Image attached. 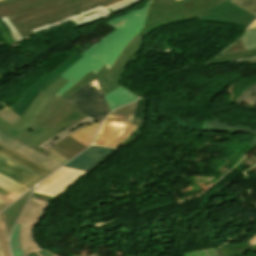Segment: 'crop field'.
Returning a JSON list of instances; mask_svg holds the SVG:
<instances>
[{
  "label": "crop field",
  "mask_w": 256,
  "mask_h": 256,
  "mask_svg": "<svg viewBox=\"0 0 256 256\" xmlns=\"http://www.w3.org/2000/svg\"><path fill=\"white\" fill-rule=\"evenodd\" d=\"M220 1H223V0H196L191 3L186 4L184 6L186 8H188L189 10L197 13V12H199L217 2H220Z\"/></svg>",
  "instance_id": "obj_27"
},
{
  "label": "crop field",
  "mask_w": 256,
  "mask_h": 256,
  "mask_svg": "<svg viewBox=\"0 0 256 256\" xmlns=\"http://www.w3.org/2000/svg\"><path fill=\"white\" fill-rule=\"evenodd\" d=\"M0 244H1L2 248H3L4 255L5 256H10L8 245H7L6 241H5V238H4L3 234H2L1 229H0Z\"/></svg>",
  "instance_id": "obj_37"
},
{
  "label": "crop field",
  "mask_w": 256,
  "mask_h": 256,
  "mask_svg": "<svg viewBox=\"0 0 256 256\" xmlns=\"http://www.w3.org/2000/svg\"><path fill=\"white\" fill-rule=\"evenodd\" d=\"M32 190L30 192H28L26 195H24L22 198H20L17 202H15L8 209H6L5 211L0 213V217L6 227L9 235L11 234L13 225H14L16 219L18 218L23 206L27 203L28 197H29L30 193L32 192Z\"/></svg>",
  "instance_id": "obj_17"
},
{
  "label": "crop field",
  "mask_w": 256,
  "mask_h": 256,
  "mask_svg": "<svg viewBox=\"0 0 256 256\" xmlns=\"http://www.w3.org/2000/svg\"><path fill=\"white\" fill-rule=\"evenodd\" d=\"M2 20V22L7 26V28L12 32L13 34V38L14 40L17 42L21 39H23L18 32L16 31V29L14 28V26L11 24V22L6 18H0Z\"/></svg>",
  "instance_id": "obj_35"
},
{
  "label": "crop field",
  "mask_w": 256,
  "mask_h": 256,
  "mask_svg": "<svg viewBox=\"0 0 256 256\" xmlns=\"http://www.w3.org/2000/svg\"><path fill=\"white\" fill-rule=\"evenodd\" d=\"M88 173L62 167L45 179L34 192L57 197Z\"/></svg>",
  "instance_id": "obj_8"
},
{
  "label": "crop field",
  "mask_w": 256,
  "mask_h": 256,
  "mask_svg": "<svg viewBox=\"0 0 256 256\" xmlns=\"http://www.w3.org/2000/svg\"><path fill=\"white\" fill-rule=\"evenodd\" d=\"M8 205H10V204H8L0 199V211L3 210L4 208H6Z\"/></svg>",
  "instance_id": "obj_47"
},
{
  "label": "crop field",
  "mask_w": 256,
  "mask_h": 256,
  "mask_svg": "<svg viewBox=\"0 0 256 256\" xmlns=\"http://www.w3.org/2000/svg\"><path fill=\"white\" fill-rule=\"evenodd\" d=\"M56 145L66 149L67 151H69L75 155L78 154L79 152H81L82 150H84L85 148H87L69 136L64 138L62 141H60Z\"/></svg>",
  "instance_id": "obj_24"
},
{
  "label": "crop field",
  "mask_w": 256,
  "mask_h": 256,
  "mask_svg": "<svg viewBox=\"0 0 256 256\" xmlns=\"http://www.w3.org/2000/svg\"><path fill=\"white\" fill-rule=\"evenodd\" d=\"M51 202L31 198L26 205L18 223L21 224L19 242L24 255L40 250V246L33 238V226L39 225L46 215V208Z\"/></svg>",
  "instance_id": "obj_7"
},
{
  "label": "crop field",
  "mask_w": 256,
  "mask_h": 256,
  "mask_svg": "<svg viewBox=\"0 0 256 256\" xmlns=\"http://www.w3.org/2000/svg\"><path fill=\"white\" fill-rule=\"evenodd\" d=\"M146 104L147 99L142 98L138 100L136 116H135V125L143 126L144 119H145V112H146Z\"/></svg>",
  "instance_id": "obj_28"
},
{
  "label": "crop field",
  "mask_w": 256,
  "mask_h": 256,
  "mask_svg": "<svg viewBox=\"0 0 256 256\" xmlns=\"http://www.w3.org/2000/svg\"><path fill=\"white\" fill-rule=\"evenodd\" d=\"M255 55H256V49L243 51V52L230 53V54H223V55H219L218 58H216L210 63L227 62V61L236 60L244 57L255 56Z\"/></svg>",
  "instance_id": "obj_26"
},
{
  "label": "crop field",
  "mask_w": 256,
  "mask_h": 256,
  "mask_svg": "<svg viewBox=\"0 0 256 256\" xmlns=\"http://www.w3.org/2000/svg\"><path fill=\"white\" fill-rule=\"evenodd\" d=\"M60 76H56V77H54L51 81H49L46 85H44L41 89H40V91H43L45 88H47L51 83H53L57 78H59Z\"/></svg>",
  "instance_id": "obj_46"
},
{
  "label": "crop field",
  "mask_w": 256,
  "mask_h": 256,
  "mask_svg": "<svg viewBox=\"0 0 256 256\" xmlns=\"http://www.w3.org/2000/svg\"><path fill=\"white\" fill-rule=\"evenodd\" d=\"M236 63H250V64H256V58H255V59H250V60L241 61V62H236Z\"/></svg>",
  "instance_id": "obj_48"
},
{
  "label": "crop field",
  "mask_w": 256,
  "mask_h": 256,
  "mask_svg": "<svg viewBox=\"0 0 256 256\" xmlns=\"http://www.w3.org/2000/svg\"><path fill=\"white\" fill-rule=\"evenodd\" d=\"M177 1H179V0H177Z\"/></svg>",
  "instance_id": "obj_57"
},
{
  "label": "crop field",
  "mask_w": 256,
  "mask_h": 256,
  "mask_svg": "<svg viewBox=\"0 0 256 256\" xmlns=\"http://www.w3.org/2000/svg\"><path fill=\"white\" fill-rule=\"evenodd\" d=\"M100 8H103V7H102V6H98V7H96V8L89 9V10H87V11L81 12L80 14L73 15V16L68 17V18H65V19H63V20H59V21H57V22H54V23H51V24H47V25L41 26V27H39V28L33 29V31H34V33H36V32L41 31V30H43V29H46V28H49V27H52V26L61 24V23H63V22L72 20V19H74V18H76V17H78V16L85 15V14H87V13H89V12L98 10V9H100Z\"/></svg>",
  "instance_id": "obj_31"
},
{
  "label": "crop field",
  "mask_w": 256,
  "mask_h": 256,
  "mask_svg": "<svg viewBox=\"0 0 256 256\" xmlns=\"http://www.w3.org/2000/svg\"><path fill=\"white\" fill-rule=\"evenodd\" d=\"M250 245H256V235L249 240Z\"/></svg>",
  "instance_id": "obj_49"
},
{
  "label": "crop field",
  "mask_w": 256,
  "mask_h": 256,
  "mask_svg": "<svg viewBox=\"0 0 256 256\" xmlns=\"http://www.w3.org/2000/svg\"><path fill=\"white\" fill-rule=\"evenodd\" d=\"M95 122L93 119H91L90 117H87L83 120H81L80 122L72 125L71 127L65 129L63 132L53 136L52 138H50L49 140L45 141L44 143L40 144L39 147L47 150L49 149L51 146H53L54 144H56L57 142H59L61 139H63L65 136L91 124Z\"/></svg>",
  "instance_id": "obj_20"
},
{
  "label": "crop field",
  "mask_w": 256,
  "mask_h": 256,
  "mask_svg": "<svg viewBox=\"0 0 256 256\" xmlns=\"http://www.w3.org/2000/svg\"><path fill=\"white\" fill-rule=\"evenodd\" d=\"M65 101L99 122L111 112L96 80L83 86Z\"/></svg>",
  "instance_id": "obj_6"
},
{
  "label": "crop field",
  "mask_w": 256,
  "mask_h": 256,
  "mask_svg": "<svg viewBox=\"0 0 256 256\" xmlns=\"http://www.w3.org/2000/svg\"><path fill=\"white\" fill-rule=\"evenodd\" d=\"M0 156L3 157V158H5V159H7V160H9V161H11V162H13V163H15V164H17L16 162H14V161H12V160H10V159H8V158L2 156V155H0ZM17 165L20 166V167H22V168H24V169H26V170H28L29 172H31V173H33V174L39 176L40 178L44 179V177H42V176H40V175H38V174H36V173L30 171L29 169H27V168H25V167H23V166H21V165H19V164H17Z\"/></svg>",
  "instance_id": "obj_45"
},
{
  "label": "crop field",
  "mask_w": 256,
  "mask_h": 256,
  "mask_svg": "<svg viewBox=\"0 0 256 256\" xmlns=\"http://www.w3.org/2000/svg\"><path fill=\"white\" fill-rule=\"evenodd\" d=\"M31 197H37V198L49 200L51 202H53L55 200L54 197H50V196H46V195H42V194H38V193H34V192L32 193Z\"/></svg>",
  "instance_id": "obj_40"
},
{
  "label": "crop field",
  "mask_w": 256,
  "mask_h": 256,
  "mask_svg": "<svg viewBox=\"0 0 256 256\" xmlns=\"http://www.w3.org/2000/svg\"><path fill=\"white\" fill-rule=\"evenodd\" d=\"M83 55L74 54L70 59L62 63L58 68L52 71L49 75L45 76L41 79L37 84H35L30 90H28L21 99L16 103L14 108L12 109L16 114L20 117L26 108L32 103L35 97L39 93V89L46 84L50 79H52L55 75L63 73L66 69H68L72 64H74L77 60H79Z\"/></svg>",
  "instance_id": "obj_12"
},
{
  "label": "crop field",
  "mask_w": 256,
  "mask_h": 256,
  "mask_svg": "<svg viewBox=\"0 0 256 256\" xmlns=\"http://www.w3.org/2000/svg\"><path fill=\"white\" fill-rule=\"evenodd\" d=\"M0 194L4 195L5 197H7V198H9L13 201L16 200L19 197V196L13 194V193L1 188V187H0Z\"/></svg>",
  "instance_id": "obj_39"
},
{
  "label": "crop field",
  "mask_w": 256,
  "mask_h": 256,
  "mask_svg": "<svg viewBox=\"0 0 256 256\" xmlns=\"http://www.w3.org/2000/svg\"><path fill=\"white\" fill-rule=\"evenodd\" d=\"M19 226H20L19 224L16 225L10 241V247H11L13 256H24L18 243Z\"/></svg>",
  "instance_id": "obj_30"
},
{
  "label": "crop field",
  "mask_w": 256,
  "mask_h": 256,
  "mask_svg": "<svg viewBox=\"0 0 256 256\" xmlns=\"http://www.w3.org/2000/svg\"><path fill=\"white\" fill-rule=\"evenodd\" d=\"M201 127L202 129L208 130V131H225L230 133L243 132V133H251L256 135V130L254 129L227 125L214 118L203 123ZM250 145L256 147V136L251 140Z\"/></svg>",
  "instance_id": "obj_18"
},
{
  "label": "crop field",
  "mask_w": 256,
  "mask_h": 256,
  "mask_svg": "<svg viewBox=\"0 0 256 256\" xmlns=\"http://www.w3.org/2000/svg\"><path fill=\"white\" fill-rule=\"evenodd\" d=\"M230 2L256 15V0H232Z\"/></svg>",
  "instance_id": "obj_32"
},
{
  "label": "crop field",
  "mask_w": 256,
  "mask_h": 256,
  "mask_svg": "<svg viewBox=\"0 0 256 256\" xmlns=\"http://www.w3.org/2000/svg\"><path fill=\"white\" fill-rule=\"evenodd\" d=\"M0 256H3L2 248L0 246Z\"/></svg>",
  "instance_id": "obj_53"
},
{
  "label": "crop field",
  "mask_w": 256,
  "mask_h": 256,
  "mask_svg": "<svg viewBox=\"0 0 256 256\" xmlns=\"http://www.w3.org/2000/svg\"><path fill=\"white\" fill-rule=\"evenodd\" d=\"M105 97L111 111L117 107L133 102L138 98L132 95L130 92L124 90L121 86L105 95Z\"/></svg>",
  "instance_id": "obj_19"
},
{
  "label": "crop field",
  "mask_w": 256,
  "mask_h": 256,
  "mask_svg": "<svg viewBox=\"0 0 256 256\" xmlns=\"http://www.w3.org/2000/svg\"><path fill=\"white\" fill-rule=\"evenodd\" d=\"M98 126H99V123L95 122L70 136L78 140L85 146L89 147Z\"/></svg>",
  "instance_id": "obj_22"
},
{
  "label": "crop field",
  "mask_w": 256,
  "mask_h": 256,
  "mask_svg": "<svg viewBox=\"0 0 256 256\" xmlns=\"http://www.w3.org/2000/svg\"><path fill=\"white\" fill-rule=\"evenodd\" d=\"M18 1H21V0H2V1H0V6L11 4L14 2H18Z\"/></svg>",
  "instance_id": "obj_43"
},
{
  "label": "crop field",
  "mask_w": 256,
  "mask_h": 256,
  "mask_svg": "<svg viewBox=\"0 0 256 256\" xmlns=\"http://www.w3.org/2000/svg\"><path fill=\"white\" fill-rule=\"evenodd\" d=\"M136 131H137V130H136ZM134 132H135V131H134ZM130 137H131V136H130ZM130 137H129V138H130ZM129 138H128V139H129ZM128 139H127V140H128ZM127 140H126V141H127ZM121 145H122V144H121ZM121 145H120V146H121ZM120 146H119V147H120ZM119 147H118V148H119Z\"/></svg>",
  "instance_id": "obj_56"
},
{
  "label": "crop field",
  "mask_w": 256,
  "mask_h": 256,
  "mask_svg": "<svg viewBox=\"0 0 256 256\" xmlns=\"http://www.w3.org/2000/svg\"><path fill=\"white\" fill-rule=\"evenodd\" d=\"M137 128L120 120L105 119L94 144L117 148Z\"/></svg>",
  "instance_id": "obj_9"
},
{
  "label": "crop field",
  "mask_w": 256,
  "mask_h": 256,
  "mask_svg": "<svg viewBox=\"0 0 256 256\" xmlns=\"http://www.w3.org/2000/svg\"><path fill=\"white\" fill-rule=\"evenodd\" d=\"M0 116L5 119L7 122H9L10 124L15 122L17 119H19L20 117L17 116L12 110H10L9 108L0 112Z\"/></svg>",
  "instance_id": "obj_34"
},
{
  "label": "crop field",
  "mask_w": 256,
  "mask_h": 256,
  "mask_svg": "<svg viewBox=\"0 0 256 256\" xmlns=\"http://www.w3.org/2000/svg\"><path fill=\"white\" fill-rule=\"evenodd\" d=\"M256 16L246 10L227 2L203 15L198 20L236 24L247 27Z\"/></svg>",
  "instance_id": "obj_10"
},
{
  "label": "crop field",
  "mask_w": 256,
  "mask_h": 256,
  "mask_svg": "<svg viewBox=\"0 0 256 256\" xmlns=\"http://www.w3.org/2000/svg\"><path fill=\"white\" fill-rule=\"evenodd\" d=\"M0 186L21 196L22 194H24L26 191H28L29 189L23 187L22 185L0 175Z\"/></svg>",
  "instance_id": "obj_25"
},
{
  "label": "crop field",
  "mask_w": 256,
  "mask_h": 256,
  "mask_svg": "<svg viewBox=\"0 0 256 256\" xmlns=\"http://www.w3.org/2000/svg\"><path fill=\"white\" fill-rule=\"evenodd\" d=\"M48 249V248H47ZM49 250V249H48ZM50 251V250H49ZM54 256H57V255H55L52 251H50ZM36 254L38 255V256H40L37 252H36Z\"/></svg>",
  "instance_id": "obj_54"
},
{
  "label": "crop field",
  "mask_w": 256,
  "mask_h": 256,
  "mask_svg": "<svg viewBox=\"0 0 256 256\" xmlns=\"http://www.w3.org/2000/svg\"><path fill=\"white\" fill-rule=\"evenodd\" d=\"M67 82L60 77L40 92L15 123L10 125L0 118V131L46 155L49 154L37 145L87 117L67 102L53 97Z\"/></svg>",
  "instance_id": "obj_1"
},
{
  "label": "crop field",
  "mask_w": 256,
  "mask_h": 256,
  "mask_svg": "<svg viewBox=\"0 0 256 256\" xmlns=\"http://www.w3.org/2000/svg\"><path fill=\"white\" fill-rule=\"evenodd\" d=\"M119 1L121 0H69L10 19V21L15 26L19 34L23 38H26L34 34L31 30L33 28L77 14L100 4H102L103 7H106Z\"/></svg>",
  "instance_id": "obj_3"
},
{
  "label": "crop field",
  "mask_w": 256,
  "mask_h": 256,
  "mask_svg": "<svg viewBox=\"0 0 256 256\" xmlns=\"http://www.w3.org/2000/svg\"><path fill=\"white\" fill-rule=\"evenodd\" d=\"M143 42V30L127 45L125 50L122 52L120 57L108 71L106 65H104L101 70L94 75L93 72L87 74L82 80H80L76 85H74L70 90H68L60 99L65 100L80 87L85 85L88 82H91L95 79L98 80L100 87L105 94L112 91L116 87L120 86L118 84L119 75L123 67L127 62L134 56V54L139 50Z\"/></svg>",
  "instance_id": "obj_4"
},
{
  "label": "crop field",
  "mask_w": 256,
  "mask_h": 256,
  "mask_svg": "<svg viewBox=\"0 0 256 256\" xmlns=\"http://www.w3.org/2000/svg\"><path fill=\"white\" fill-rule=\"evenodd\" d=\"M191 1H193V0H181V1H179V3H181L182 5H184V4H186V3H188V2H191Z\"/></svg>",
  "instance_id": "obj_51"
},
{
  "label": "crop field",
  "mask_w": 256,
  "mask_h": 256,
  "mask_svg": "<svg viewBox=\"0 0 256 256\" xmlns=\"http://www.w3.org/2000/svg\"><path fill=\"white\" fill-rule=\"evenodd\" d=\"M4 160H5V159H3V158L0 157V163L3 162Z\"/></svg>",
  "instance_id": "obj_55"
},
{
  "label": "crop field",
  "mask_w": 256,
  "mask_h": 256,
  "mask_svg": "<svg viewBox=\"0 0 256 256\" xmlns=\"http://www.w3.org/2000/svg\"><path fill=\"white\" fill-rule=\"evenodd\" d=\"M253 92H256V85L247 89L236 101L235 103L237 104H241V102H245V103H251V104H256V98H251L248 97L250 94H252Z\"/></svg>",
  "instance_id": "obj_33"
},
{
  "label": "crop field",
  "mask_w": 256,
  "mask_h": 256,
  "mask_svg": "<svg viewBox=\"0 0 256 256\" xmlns=\"http://www.w3.org/2000/svg\"><path fill=\"white\" fill-rule=\"evenodd\" d=\"M0 154H2L4 156H6V157L16 161L17 163H19V164H21V165H23V166H25V167H27V168L37 172V173H39V174H41V175H43L45 177L48 176L51 173V172H49V171H47V170H45V169H43V168H41V167L31 163L30 161L20 157L19 155H17L15 153H13V152H11V151L1 147V146H0Z\"/></svg>",
  "instance_id": "obj_21"
},
{
  "label": "crop field",
  "mask_w": 256,
  "mask_h": 256,
  "mask_svg": "<svg viewBox=\"0 0 256 256\" xmlns=\"http://www.w3.org/2000/svg\"><path fill=\"white\" fill-rule=\"evenodd\" d=\"M0 173L29 189L42 180L7 160L0 164Z\"/></svg>",
  "instance_id": "obj_15"
},
{
  "label": "crop field",
  "mask_w": 256,
  "mask_h": 256,
  "mask_svg": "<svg viewBox=\"0 0 256 256\" xmlns=\"http://www.w3.org/2000/svg\"><path fill=\"white\" fill-rule=\"evenodd\" d=\"M240 39L246 50L256 48V28L249 29Z\"/></svg>",
  "instance_id": "obj_29"
},
{
  "label": "crop field",
  "mask_w": 256,
  "mask_h": 256,
  "mask_svg": "<svg viewBox=\"0 0 256 256\" xmlns=\"http://www.w3.org/2000/svg\"><path fill=\"white\" fill-rule=\"evenodd\" d=\"M226 1L229 0L220 2L198 14H195L175 0H152L145 25V34L169 23L198 18L200 14Z\"/></svg>",
  "instance_id": "obj_5"
},
{
  "label": "crop field",
  "mask_w": 256,
  "mask_h": 256,
  "mask_svg": "<svg viewBox=\"0 0 256 256\" xmlns=\"http://www.w3.org/2000/svg\"><path fill=\"white\" fill-rule=\"evenodd\" d=\"M47 151L50 153L48 156L54 158L55 160H57V161H59V162H61L63 164L69 161L68 159H66L65 157L59 155L58 153L54 152L51 149H49Z\"/></svg>",
  "instance_id": "obj_36"
},
{
  "label": "crop field",
  "mask_w": 256,
  "mask_h": 256,
  "mask_svg": "<svg viewBox=\"0 0 256 256\" xmlns=\"http://www.w3.org/2000/svg\"><path fill=\"white\" fill-rule=\"evenodd\" d=\"M0 142L15 149L16 151L56 170L57 168H59L61 165V163L17 142L16 140L10 138L9 136L5 135L4 133L0 132Z\"/></svg>",
  "instance_id": "obj_14"
},
{
  "label": "crop field",
  "mask_w": 256,
  "mask_h": 256,
  "mask_svg": "<svg viewBox=\"0 0 256 256\" xmlns=\"http://www.w3.org/2000/svg\"><path fill=\"white\" fill-rule=\"evenodd\" d=\"M0 227H1V229H2V231H3V234H4L5 238H6V241H7V243H8L9 235H8V233H7V231H6L5 227H4V225H3L2 221H1V219H0Z\"/></svg>",
  "instance_id": "obj_42"
},
{
  "label": "crop field",
  "mask_w": 256,
  "mask_h": 256,
  "mask_svg": "<svg viewBox=\"0 0 256 256\" xmlns=\"http://www.w3.org/2000/svg\"><path fill=\"white\" fill-rule=\"evenodd\" d=\"M0 198L3 199V200H5L6 202H8V203H10V204L13 202V201H11V200L5 198V197L2 196V195H0Z\"/></svg>",
  "instance_id": "obj_50"
},
{
  "label": "crop field",
  "mask_w": 256,
  "mask_h": 256,
  "mask_svg": "<svg viewBox=\"0 0 256 256\" xmlns=\"http://www.w3.org/2000/svg\"><path fill=\"white\" fill-rule=\"evenodd\" d=\"M253 27H256V22L253 23L249 28H253Z\"/></svg>",
  "instance_id": "obj_52"
},
{
  "label": "crop field",
  "mask_w": 256,
  "mask_h": 256,
  "mask_svg": "<svg viewBox=\"0 0 256 256\" xmlns=\"http://www.w3.org/2000/svg\"><path fill=\"white\" fill-rule=\"evenodd\" d=\"M0 145H1V146H3V147H5V148H7V149H9V150H11V151H13V152H15V153H17V154H19V155H21L22 157H24V158H26V159L30 160L31 162H33V163H35V164H37V165H39V166H41V167H43V168H45V169H47V170L51 171V172H53V170H51V169H49V168H47V167H45V166H43V165H41V164H39V163H37V162L33 161V160H31L30 158H28V157H26V156H24V155H22V154H20V153H18V152H16V151H14V150L10 149V148H8V147H6V146L2 145V144H0Z\"/></svg>",
  "instance_id": "obj_41"
},
{
  "label": "crop field",
  "mask_w": 256,
  "mask_h": 256,
  "mask_svg": "<svg viewBox=\"0 0 256 256\" xmlns=\"http://www.w3.org/2000/svg\"><path fill=\"white\" fill-rule=\"evenodd\" d=\"M149 3L150 0L141 9L107 21L115 31L88 49L83 58L60 75L69 82L55 96L59 98L90 71L96 74L105 63L110 69L126 45L142 30Z\"/></svg>",
  "instance_id": "obj_2"
},
{
  "label": "crop field",
  "mask_w": 256,
  "mask_h": 256,
  "mask_svg": "<svg viewBox=\"0 0 256 256\" xmlns=\"http://www.w3.org/2000/svg\"><path fill=\"white\" fill-rule=\"evenodd\" d=\"M66 0H25L4 7H0V17L6 16L8 19L35 11L47 6H51Z\"/></svg>",
  "instance_id": "obj_13"
},
{
  "label": "crop field",
  "mask_w": 256,
  "mask_h": 256,
  "mask_svg": "<svg viewBox=\"0 0 256 256\" xmlns=\"http://www.w3.org/2000/svg\"><path fill=\"white\" fill-rule=\"evenodd\" d=\"M117 151L119 150L91 146L67 163L65 167L90 172L100 166Z\"/></svg>",
  "instance_id": "obj_11"
},
{
  "label": "crop field",
  "mask_w": 256,
  "mask_h": 256,
  "mask_svg": "<svg viewBox=\"0 0 256 256\" xmlns=\"http://www.w3.org/2000/svg\"><path fill=\"white\" fill-rule=\"evenodd\" d=\"M140 0H126L120 4L108 7L106 9L91 13L89 15L83 16L77 20H74V24L76 28L81 27L83 25L89 24L91 22L100 21L114 13H117L123 9H127L136 3H138Z\"/></svg>",
  "instance_id": "obj_16"
},
{
  "label": "crop field",
  "mask_w": 256,
  "mask_h": 256,
  "mask_svg": "<svg viewBox=\"0 0 256 256\" xmlns=\"http://www.w3.org/2000/svg\"><path fill=\"white\" fill-rule=\"evenodd\" d=\"M136 103L137 102L116 110L115 112L111 113L107 118L120 119V120H123V121L133 124Z\"/></svg>",
  "instance_id": "obj_23"
},
{
  "label": "crop field",
  "mask_w": 256,
  "mask_h": 256,
  "mask_svg": "<svg viewBox=\"0 0 256 256\" xmlns=\"http://www.w3.org/2000/svg\"><path fill=\"white\" fill-rule=\"evenodd\" d=\"M52 149H53L54 151L58 152L59 154L65 156V157L68 158V159H71V158H73V157L75 156V155H73V154H71V153L65 151L64 149H62V148H60V147H58V146H56V145H55V147L52 148Z\"/></svg>",
  "instance_id": "obj_38"
},
{
  "label": "crop field",
  "mask_w": 256,
  "mask_h": 256,
  "mask_svg": "<svg viewBox=\"0 0 256 256\" xmlns=\"http://www.w3.org/2000/svg\"><path fill=\"white\" fill-rule=\"evenodd\" d=\"M38 253H39L41 256H52V254H51L47 249L40 250V251H38Z\"/></svg>",
  "instance_id": "obj_44"
}]
</instances>
